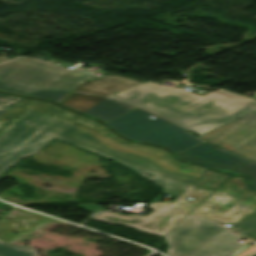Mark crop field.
<instances>
[{"label": "crop field", "mask_w": 256, "mask_h": 256, "mask_svg": "<svg viewBox=\"0 0 256 256\" xmlns=\"http://www.w3.org/2000/svg\"><path fill=\"white\" fill-rule=\"evenodd\" d=\"M252 99H255V100H256V96H255V97H253Z\"/></svg>", "instance_id": "18"}, {"label": "crop field", "mask_w": 256, "mask_h": 256, "mask_svg": "<svg viewBox=\"0 0 256 256\" xmlns=\"http://www.w3.org/2000/svg\"><path fill=\"white\" fill-rule=\"evenodd\" d=\"M254 256H256V255H254Z\"/></svg>", "instance_id": "20"}, {"label": "crop field", "mask_w": 256, "mask_h": 256, "mask_svg": "<svg viewBox=\"0 0 256 256\" xmlns=\"http://www.w3.org/2000/svg\"><path fill=\"white\" fill-rule=\"evenodd\" d=\"M80 208H84L90 212H98L104 209V207L96 206V205H78Z\"/></svg>", "instance_id": "15"}, {"label": "crop field", "mask_w": 256, "mask_h": 256, "mask_svg": "<svg viewBox=\"0 0 256 256\" xmlns=\"http://www.w3.org/2000/svg\"><path fill=\"white\" fill-rule=\"evenodd\" d=\"M6 60H9V59H6V58H3V57H0V62H2V61H6Z\"/></svg>", "instance_id": "17"}, {"label": "crop field", "mask_w": 256, "mask_h": 256, "mask_svg": "<svg viewBox=\"0 0 256 256\" xmlns=\"http://www.w3.org/2000/svg\"><path fill=\"white\" fill-rule=\"evenodd\" d=\"M112 96L161 116L197 135L256 111L255 101L228 92L217 90L201 97L185 89L160 86L152 82Z\"/></svg>", "instance_id": "2"}, {"label": "crop field", "mask_w": 256, "mask_h": 256, "mask_svg": "<svg viewBox=\"0 0 256 256\" xmlns=\"http://www.w3.org/2000/svg\"><path fill=\"white\" fill-rule=\"evenodd\" d=\"M0 120V176L54 138L112 159L178 196L207 169L179 163L167 151L114 136L101 123L48 102L23 98Z\"/></svg>", "instance_id": "1"}, {"label": "crop field", "mask_w": 256, "mask_h": 256, "mask_svg": "<svg viewBox=\"0 0 256 256\" xmlns=\"http://www.w3.org/2000/svg\"><path fill=\"white\" fill-rule=\"evenodd\" d=\"M139 84L141 83L122 77L88 79L59 104L106 122L137 108L110 95Z\"/></svg>", "instance_id": "6"}, {"label": "crop field", "mask_w": 256, "mask_h": 256, "mask_svg": "<svg viewBox=\"0 0 256 256\" xmlns=\"http://www.w3.org/2000/svg\"><path fill=\"white\" fill-rule=\"evenodd\" d=\"M230 172L245 174L252 177L253 185L256 187V162L251 161L249 163L243 164Z\"/></svg>", "instance_id": "13"}, {"label": "crop field", "mask_w": 256, "mask_h": 256, "mask_svg": "<svg viewBox=\"0 0 256 256\" xmlns=\"http://www.w3.org/2000/svg\"><path fill=\"white\" fill-rule=\"evenodd\" d=\"M164 238L167 256H228L241 245L236 242L241 237L220 223L190 215Z\"/></svg>", "instance_id": "5"}, {"label": "crop field", "mask_w": 256, "mask_h": 256, "mask_svg": "<svg viewBox=\"0 0 256 256\" xmlns=\"http://www.w3.org/2000/svg\"><path fill=\"white\" fill-rule=\"evenodd\" d=\"M179 156L183 160L203 163L224 171L251 161L231 151L222 150L208 143L191 148L179 154Z\"/></svg>", "instance_id": "10"}, {"label": "crop field", "mask_w": 256, "mask_h": 256, "mask_svg": "<svg viewBox=\"0 0 256 256\" xmlns=\"http://www.w3.org/2000/svg\"><path fill=\"white\" fill-rule=\"evenodd\" d=\"M199 138L256 161V112Z\"/></svg>", "instance_id": "9"}, {"label": "crop field", "mask_w": 256, "mask_h": 256, "mask_svg": "<svg viewBox=\"0 0 256 256\" xmlns=\"http://www.w3.org/2000/svg\"><path fill=\"white\" fill-rule=\"evenodd\" d=\"M230 176V174L207 170L173 202L149 203V207L154 210L147 216H124L112 212H102L96 214L92 219L111 224L119 223L142 232L164 237ZM187 197L195 199L187 201L185 200Z\"/></svg>", "instance_id": "4"}, {"label": "crop field", "mask_w": 256, "mask_h": 256, "mask_svg": "<svg viewBox=\"0 0 256 256\" xmlns=\"http://www.w3.org/2000/svg\"><path fill=\"white\" fill-rule=\"evenodd\" d=\"M3 123V121H0V125Z\"/></svg>", "instance_id": "19"}, {"label": "crop field", "mask_w": 256, "mask_h": 256, "mask_svg": "<svg viewBox=\"0 0 256 256\" xmlns=\"http://www.w3.org/2000/svg\"><path fill=\"white\" fill-rule=\"evenodd\" d=\"M152 114L137 108L107 124L117 133L129 139L166 146L176 154L186 148L203 142L184 128L163 118L151 119Z\"/></svg>", "instance_id": "7"}, {"label": "crop field", "mask_w": 256, "mask_h": 256, "mask_svg": "<svg viewBox=\"0 0 256 256\" xmlns=\"http://www.w3.org/2000/svg\"><path fill=\"white\" fill-rule=\"evenodd\" d=\"M37 251L30 247L0 242V256H35Z\"/></svg>", "instance_id": "11"}, {"label": "crop field", "mask_w": 256, "mask_h": 256, "mask_svg": "<svg viewBox=\"0 0 256 256\" xmlns=\"http://www.w3.org/2000/svg\"><path fill=\"white\" fill-rule=\"evenodd\" d=\"M231 229L238 230L243 237L246 235L256 237V212Z\"/></svg>", "instance_id": "12"}, {"label": "crop field", "mask_w": 256, "mask_h": 256, "mask_svg": "<svg viewBox=\"0 0 256 256\" xmlns=\"http://www.w3.org/2000/svg\"><path fill=\"white\" fill-rule=\"evenodd\" d=\"M81 70L71 71L35 59L20 58L0 64V90L59 103L92 75Z\"/></svg>", "instance_id": "3"}, {"label": "crop field", "mask_w": 256, "mask_h": 256, "mask_svg": "<svg viewBox=\"0 0 256 256\" xmlns=\"http://www.w3.org/2000/svg\"><path fill=\"white\" fill-rule=\"evenodd\" d=\"M255 251H256V245H253L252 247H250L249 249L245 250L244 252H242L241 254H239L237 256H245V255H248Z\"/></svg>", "instance_id": "16"}, {"label": "crop field", "mask_w": 256, "mask_h": 256, "mask_svg": "<svg viewBox=\"0 0 256 256\" xmlns=\"http://www.w3.org/2000/svg\"><path fill=\"white\" fill-rule=\"evenodd\" d=\"M255 211L256 191L248 189L243 177L232 175L190 215L237 224Z\"/></svg>", "instance_id": "8"}, {"label": "crop field", "mask_w": 256, "mask_h": 256, "mask_svg": "<svg viewBox=\"0 0 256 256\" xmlns=\"http://www.w3.org/2000/svg\"><path fill=\"white\" fill-rule=\"evenodd\" d=\"M22 98L0 94V117L9 111Z\"/></svg>", "instance_id": "14"}]
</instances>
